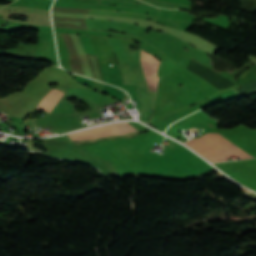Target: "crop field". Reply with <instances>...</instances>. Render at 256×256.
I'll list each match as a JSON object with an SVG mask.
<instances>
[{
  "label": "crop field",
  "mask_w": 256,
  "mask_h": 256,
  "mask_svg": "<svg viewBox=\"0 0 256 256\" xmlns=\"http://www.w3.org/2000/svg\"><path fill=\"white\" fill-rule=\"evenodd\" d=\"M139 132L127 122L113 123L105 126L95 127L80 132L68 134L74 141H92L102 137H114L115 135L130 136Z\"/></svg>",
  "instance_id": "2"
},
{
  "label": "crop field",
  "mask_w": 256,
  "mask_h": 256,
  "mask_svg": "<svg viewBox=\"0 0 256 256\" xmlns=\"http://www.w3.org/2000/svg\"><path fill=\"white\" fill-rule=\"evenodd\" d=\"M69 87L57 84V88L52 89L39 103L35 110L50 111L61 96L67 91ZM63 97V96H62ZM58 103V102H57Z\"/></svg>",
  "instance_id": "3"
},
{
  "label": "crop field",
  "mask_w": 256,
  "mask_h": 256,
  "mask_svg": "<svg viewBox=\"0 0 256 256\" xmlns=\"http://www.w3.org/2000/svg\"><path fill=\"white\" fill-rule=\"evenodd\" d=\"M210 162L226 161L233 155L241 158H253L252 155L236 146L218 133H207L185 143Z\"/></svg>",
  "instance_id": "1"
}]
</instances>
